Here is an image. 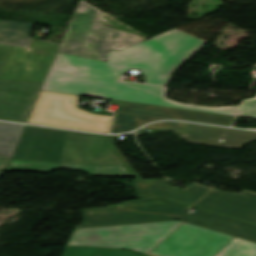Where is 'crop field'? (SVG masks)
Masks as SVG:
<instances>
[{"label":"crop field","mask_w":256,"mask_h":256,"mask_svg":"<svg viewBox=\"0 0 256 256\" xmlns=\"http://www.w3.org/2000/svg\"><path fill=\"white\" fill-rule=\"evenodd\" d=\"M206 43L174 29L119 52L109 51L107 62L57 53L41 90L236 115L233 106L180 104L165 98L167 88L119 82L122 74L137 69L144 83L167 85L173 72Z\"/></svg>","instance_id":"obj_1"},{"label":"crop field","mask_w":256,"mask_h":256,"mask_svg":"<svg viewBox=\"0 0 256 256\" xmlns=\"http://www.w3.org/2000/svg\"><path fill=\"white\" fill-rule=\"evenodd\" d=\"M106 136L25 126L5 171L133 177L105 142Z\"/></svg>","instance_id":"obj_2"},{"label":"crop field","mask_w":256,"mask_h":256,"mask_svg":"<svg viewBox=\"0 0 256 256\" xmlns=\"http://www.w3.org/2000/svg\"><path fill=\"white\" fill-rule=\"evenodd\" d=\"M144 40L103 26L101 11L80 1L58 52L106 61L108 50L118 51Z\"/></svg>","instance_id":"obj_3"},{"label":"crop field","mask_w":256,"mask_h":256,"mask_svg":"<svg viewBox=\"0 0 256 256\" xmlns=\"http://www.w3.org/2000/svg\"><path fill=\"white\" fill-rule=\"evenodd\" d=\"M182 224L170 221L76 229L68 245L126 248L147 254Z\"/></svg>","instance_id":"obj_4"},{"label":"crop field","mask_w":256,"mask_h":256,"mask_svg":"<svg viewBox=\"0 0 256 256\" xmlns=\"http://www.w3.org/2000/svg\"><path fill=\"white\" fill-rule=\"evenodd\" d=\"M78 96L41 91L27 123L107 133L112 117L76 106Z\"/></svg>","instance_id":"obj_5"},{"label":"crop field","mask_w":256,"mask_h":256,"mask_svg":"<svg viewBox=\"0 0 256 256\" xmlns=\"http://www.w3.org/2000/svg\"><path fill=\"white\" fill-rule=\"evenodd\" d=\"M188 207L163 198L133 200L119 207L82 210L83 224L76 228L177 220Z\"/></svg>","instance_id":"obj_6"},{"label":"crop field","mask_w":256,"mask_h":256,"mask_svg":"<svg viewBox=\"0 0 256 256\" xmlns=\"http://www.w3.org/2000/svg\"><path fill=\"white\" fill-rule=\"evenodd\" d=\"M110 103L118 105L115 110L116 114L111 133L134 130L143 124L161 119H178L226 126H230L234 119V117L226 115L131 104L119 101H110Z\"/></svg>","instance_id":"obj_7"},{"label":"crop field","mask_w":256,"mask_h":256,"mask_svg":"<svg viewBox=\"0 0 256 256\" xmlns=\"http://www.w3.org/2000/svg\"><path fill=\"white\" fill-rule=\"evenodd\" d=\"M234 236L184 223L150 254L158 256H214Z\"/></svg>","instance_id":"obj_8"},{"label":"crop field","mask_w":256,"mask_h":256,"mask_svg":"<svg viewBox=\"0 0 256 256\" xmlns=\"http://www.w3.org/2000/svg\"><path fill=\"white\" fill-rule=\"evenodd\" d=\"M59 46L33 40L29 48L13 46L0 78L44 81Z\"/></svg>","instance_id":"obj_9"},{"label":"crop field","mask_w":256,"mask_h":256,"mask_svg":"<svg viewBox=\"0 0 256 256\" xmlns=\"http://www.w3.org/2000/svg\"><path fill=\"white\" fill-rule=\"evenodd\" d=\"M147 129L174 132L189 143L237 149H242L245 143L256 141L255 132L192 125L181 122L155 123L135 133L138 136Z\"/></svg>","instance_id":"obj_10"},{"label":"crop field","mask_w":256,"mask_h":256,"mask_svg":"<svg viewBox=\"0 0 256 256\" xmlns=\"http://www.w3.org/2000/svg\"><path fill=\"white\" fill-rule=\"evenodd\" d=\"M42 84L0 80V120L24 123Z\"/></svg>","instance_id":"obj_11"},{"label":"crop field","mask_w":256,"mask_h":256,"mask_svg":"<svg viewBox=\"0 0 256 256\" xmlns=\"http://www.w3.org/2000/svg\"><path fill=\"white\" fill-rule=\"evenodd\" d=\"M195 207L256 224V194L247 191L235 193L214 189Z\"/></svg>","instance_id":"obj_12"},{"label":"crop field","mask_w":256,"mask_h":256,"mask_svg":"<svg viewBox=\"0 0 256 256\" xmlns=\"http://www.w3.org/2000/svg\"><path fill=\"white\" fill-rule=\"evenodd\" d=\"M171 182V180L136 179L132 184L139 198L164 197L190 205L211 189L192 183L182 190L168 185Z\"/></svg>","instance_id":"obj_13"},{"label":"crop field","mask_w":256,"mask_h":256,"mask_svg":"<svg viewBox=\"0 0 256 256\" xmlns=\"http://www.w3.org/2000/svg\"><path fill=\"white\" fill-rule=\"evenodd\" d=\"M179 221L192 223L256 242V225L202 209L197 208L193 214L184 213Z\"/></svg>","instance_id":"obj_14"},{"label":"crop field","mask_w":256,"mask_h":256,"mask_svg":"<svg viewBox=\"0 0 256 256\" xmlns=\"http://www.w3.org/2000/svg\"><path fill=\"white\" fill-rule=\"evenodd\" d=\"M34 24L0 20V43L28 46Z\"/></svg>","instance_id":"obj_15"},{"label":"crop field","mask_w":256,"mask_h":256,"mask_svg":"<svg viewBox=\"0 0 256 256\" xmlns=\"http://www.w3.org/2000/svg\"><path fill=\"white\" fill-rule=\"evenodd\" d=\"M23 126L0 123V171H4Z\"/></svg>","instance_id":"obj_16"},{"label":"crop field","mask_w":256,"mask_h":256,"mask_svg":"<svg viewBox=\"0 0 256 256\" xmlns=\"http://www.w3.org/2000/svg\"><path fill=\"white\" fill-rule=\"evenodd\" d=\"M149 256L119 249L67 246L63 256Z\"/></svg>","instance_id":"obj_17"},{"label":"crop field","mask_w":256,"mask_h":256,"mask_svg":"<svg viewBox=\"0 0 256 256\" xmlns=\"http://www.w3.org/2000/svg\"><path fill=\"white\" fill-rule=\"evenodd\" d=\"M215 256H256V243L235 237Z\"/></svg>","instance_id":"obj_18"},{"label":"crop field","mask_w":256,"mask_h":256,"mask_svg":"<svg viewBox=\"0 0 256 256\" xmlns=\"http://www.w3.org/2000/svg\"><path fill=\"white\" fill-rule=\"evenodd\" d=\"M102 23H103V25L111 27V28L119 29V30H122V31H126V32H129V33H133V34L145 37L144 35L138 33L137 31L133 30L132 28H130L128 26H126L125 24L121 23L120 21L114 19L113 17L109 16L108 14H106L104 12H102Z\"/></svg>","instance_id":"obj_19"},{"label":"crop field","mask_w":256,"mask_h":256,"mask_svg":"<svg viewBox=\"0 0 256 256\" xmlns=\"http://www.w3.org/2000/svg\"><path fill=\"white\" fill-rule=\"evenodd\" d=\"M237 107L239 109V116L256 118V97L242 100L241 104Z\"/></svg>","instance_id":"obj_20"},{"label":"crop field","mask_w":256,"mask_h":256,"mask_svg":"<svg viewBox=\"0 0 256 256\" xmlns=\"http://www.w3.org/2000/svg\"><path fill=\"white\" fill-rule=\"evenodd\" d=\"M12 46L0 44V72Z\"/></svg>","instance_id":"obj_21"},{"label":"crop field","mask_w":256,"mask_h":256,"mask_svg":"<svg viewBox=\"0 0 256 256\" xmlns=\"http://www.w3.org/2000/svg\"><path fill=\"white\" fill-rule=\"evenodd\" d=\"M116 136H109L108 142L110 146L117 152V154L121 157V159L124 161V163L132 170V172L136 175L137 178H140V176L137 174V172L131 167V165L125 160V158L121 155L119 150L114 146ZM130 170V171H131Z\"/></svg>","instance_id":"obj_22"},{"label":"crop field","mask_w":256,"mask_h":256,"mask_svg":"<svg viewBox=\"0 0 256 256\" xmlns=\"http://www.w3.org/2000/svg\"><path fill=\"white\" fill-rule=\"evenodd\" d=\"M2 172H0V176H1Z\"/></svg>","instance_id":"obj_23"},{"label":"crop field","mask_w":256,"mask_h":256,"mask_svg":"<svg viewBox=\"0 0 256 256\" xmlns=\"http://www.w3.org/2000/svg\"><path fill=\"white\" fill-rule=\"evenodd\" d=\"M256 130V129H255Z\"/></svg>","instance_id":"obj_24"}]
</instances>
